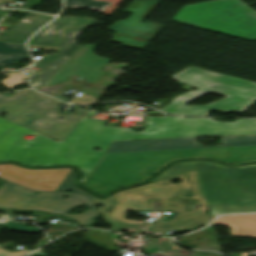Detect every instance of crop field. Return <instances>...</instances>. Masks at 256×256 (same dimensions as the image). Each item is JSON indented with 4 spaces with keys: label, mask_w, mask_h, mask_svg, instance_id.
Instances as JSON below:
<instances>
[{
    "label": "crop field",
    "mask_w": 256,
    "mask_h": 256,
    "mask_svg": "<svg viewBox=\"0 0 256 256\" xmlns=\"http://www.w3.org/2000/svg\"><path fill=\"white\" fill-rule=\"evenodd\" d=\"M157 114H160V113L156 111H152V112H147L144 115H157Z\"/></svg>",
    "instance_id": "crop-field-29"
},
{
    "label": "crop field",
    "mask_w": 256,
    "mask_h": 256,
    "mask_svg": "<svg viewBox=\"0 0 256 256\" xmlns=\"http://www.w3.org/2000/svg\"><path fill=\"white\" fill-rule=\"evenodd\" d=\"M8 78L1 81L3 85L7 86L9 89L12 88L14 85H18L20 83L26 82L22 81V78H25L26 76H23L19 73H12V74H7Z\"/></svg>",
    "instance_id": "crop-field-22"
},
{
    "label": "crop field",
    "mask_w": 256,
    "mask_h": 256,
    "mask_svg": "<svg viewBox=\"0 0 256 256\" xmlns=\"http://www.w3.org/2000/svg\"><path fill=\"white\" fill-rule=\"evenodd\" d=\"M221 138L223 146L215 147H196V138L113 142L83 186L104 195L143 181L175 159L210 157L226 163L256 160V136Z\"/></svg>",
    "instance_id": "crop-field-1"
},
{
    "label": "crop field",
    "mask_w": 256,
    "mask_h": 256,
    "mask_svg": "<svg viewBox=\"0 0 256 256\" xmlns=\"http://www.w3.org/2000/svg\"><path fill=\"white\" fill-rule=\"evenodd\" d=\"M70 171L68 168L31 170L4 164L0 165V178L35 191H56Z\"/></svg>",
    "instance_id": "crop-field-12"
},
{
    "label": "crop field",
    "mask_w": 256,
    "mask_h": 256,
    "mask_svg": "<svg viewBox=\"0 0 256 256\" xmlns=\"http://www.w3.org/2000/svg\"><path fill=\"white\" fill-rule=\"evenodd\" d=\"M53 97H55V98H57V99H60V100H62V101H64V102H69L70 100H68V99H66V98H64V97H62V96H60V95H52Z\"/></svg>",
    "instance_id": "crop-field-28"
},
{
    "label": "crop field",
    "mask_w": 256,
    "mask_h": 256,
    "mask_svg": "<svg viewBox=\"0 0 256 256\" xmlns=\"http://www.w3.org/2000/svg\"><path fill=\"white\" fill-rule=\"evenodd\" d=\"M1 1V0H0Z\"/></svg>",
    "instance_id": "crop-field-32"
},
{
    "label": "crop field",
    "mask_w": 256,
    "mask_h": 256,
    "mask_svg": "<svg viewBox=\"0 0 256 256\" xmlns=\"http://www.w3.org/2000/svg\"><path fill=\"white\" fill-rule=\"evenodd\" d=\"M10 11L9 9L0 8V19Z\"/></svg>",
    "instance_id": "crop-field-26"
},
{
    "label": "crop field",
    "mask_w": 256,
    "mask_h": 256,
    "mask_svg": "<svg viewBox=\"0 0 256 256\" xmlns=\"http://www.w3.org/2000/svg\"><path fill=\"white\" fill-rule=\"evenodd\" d=\"M75 175L76 173L74 172V170H72L57 191L68 192L69 190H72L71 192L84 194L91 199L93 196L76 188L72 184ZM176 179L181 180V183L172 184L171 181ZM150 184L183 185L182 187H180L169 206L183 207L186 199L204 200L205 198L196 170L174 177L158 180ZM141 198L142 196L127 195L122 207L145 210L149 203V200H141ZM113 200L114 199L102 200V204L110 205L113 203ZM197 203L198 201H188L185 209H192V206L197 205ZM163 205L164 203H156L155 210H162ZM212 218L213 216L198 212H195L193 216L178 213L174 214L169 221H164L161 226L178 229L181 230L180 232H187L209 223Z\"/></svg>",
    "instance_id": "crop-field-6"
},
{
    "label": "crop field",
    "mask_w": 256,
    "mask_h": 256,
    "mask_svg": "<svg viewBox=\"0 0 256 256\" xmlns=\"http://www.w3.org/2000/svg\"><path fill=\"white\" fill-rule=\"evenodd\" d=\"M53 17L30 12L17 24L6 31L0 40L10 43L24 44L32 34L45 23L49 22Z\"/></svg>",
    "instance_id": "crop-field-16"
},
{
    "label": "crop field",
    "mask_w": 256,
    "mask_h": 256,
    "mask_svg": "<svg viewBox=\"0 0 256 256\" xmlns=\"http://www.w3.org/2000/svg\"><path fill=\"white\" fill-rule=\"evenodd\" d=\"M170 78L197 87L198 90L177 95L165 108L160 109L168 113L183 116H207L210 110L242 113L256 101V83L253 82L195 67H189ZM210 91L226 97L205 106L184 105Z\"/></svg>",
    "instance_id": "crop-field-3"
},
{
    "label": "crop field",
    "mask_w": 256,
    "mask_h": 256,
    "mask_svg": "<svg viewBox=\"0 0 256 256\" xmlns=\"http://www.w3.org/2000/svg\"><path fill=\"white\" fill-rule=\"evenodd\" d=\"M173 21L256 40V12L240 0H215L186 5Z\"/></svg>",
    "instance_id": "crop-field-5"
},
{
    "label": "crop field",
    "mask_w": 256,
    "mask_h": 256,
    "mask_svg": "<svg viewBox=\"0 0 256 256\" xmlns=\"http://www.w3.org/2000/svg\"><path fill=\"white\" fill-rule=\"evenodd\" d=\"M224 224L232 227L231 236H245L256 238V214L229 215L219 217L211 225Z\"/></svg>",
    "instance_id": "crop-field-17"
},
{
    "label": "crop field",
    "mask_w": 256,
    "mask_h": 256,
    "mask_svg": "<svg viewBox=\"0 0 256 256\" xmlns=\"http://www.w3.org/2000/svg\"><path fill=\"white\" fill-rule=\"evenodd\" d=\"M5 228L18 231L40 232L38 228L24 227L21 223H9Z\"/></svg>",
    "instance_id": "crop-field-23"
},
{
    "label": "crop field",
    "mask_w": 256,
    "mask_h": 256,
    "mask_svg": "<svg viewBox=\"0 0 256 256\" xmlns=\"http://www.w3.org/2000/svg\"><path fill=\"white\" fill-rule=\"evenodd\" d=\"M194 169L198 171L211 215L256 212V164L226 167L207 161H185L172 165L153 181Z\"/></svg>",
    "instance_id": "crop-field-2"
},
{
    "label": "crop field",
    "mask_w": 256,
    "mask_h": 256,
    "mask_svg": "<svg viewBox=\"0 0 256 256\" xmlns=\"http://www.w3.org/2000/svg\"><path fill=\"white\" fill-rule=\"evenodd\" d=\"M88 237H90L104 245H107L108 249H116L109 232L100 231V230H92V232L90 233V235Z\"/></svg>",
    "instance_id": "crop-field-21"
},
{
    "label": "crop field",
    "mask_w": 256,
    "mask_h": 256,
    "mask_svg": "<svg viewBox=\"0 0 256 256\" xmlns=\"http://www.w3.org/2000/svg\"><path fill=\"white\" fill-rule=\"evenodd\" d=\"M36 133L0 118V161L12 160L24 165H43L61 142H53L43 135H37L31 141L23 138Z\"/></svg>",
    "instance_id": "crop-field-9"
},
{
    "label": "crop field",
    "mask_w": 256,
    "mask_h": 256,
    "mask_svg": "<svg viewBox=\"0 0 256 256\" xmlns=\"http://www.w3.org/2000/svg\"><path fill=\"white\" fill-rule=\"evenodd\" d=\"M58 104L61 102L32 89L18 91L9 97L0 94V113L7 112L6 119L61 140L88 110L76 107L74 113L80 114L79 117L65 113L66 117L59 121L65 115L57 117L61 112L56 107Z\"/></svg>",
    "instance_id": "crop-field-4"
},
{
    "label": "crop field",
    "mask_w": 256,
    "mask_h": 256,
    "mask_svg": "<svg viewBox=\"0 0 256 256\" xmlns=\"http://www.w3.org/2000/svg\"><path fill=\"white\" fill-rule=\"evenodd\" d=\"M95 99L91 96H81V97H75L71 103H95Z\"/></svg>",
    "instance_id": "crop-field-24"
},
{
    "label": "crop field",
    "mask_w": 256,
    "mask_h": 256,
    "mask_svg": "<svg viewBox=\"0 0 256 256\" xmlns=\"http://www.w3.org/2000/svg\"><path fill=\"white\" fill-rule=\"evenodd\" d=\"M32 192V190L6 181L0 189V208L36 209L50 213L64 214L84 225L93 223L92 218L99 215L93 201L84 195L60 192H39L38 195H34ZM63 195L68 197V199H62L61 197ZM79 199L82 201H79ZM83 203H86L91 208L82 214L71 216L66 214L74 205Z\"/></svg>",
    "instance_id": "crop-field-8"
},
{
    "label": "crop field",
    "mask_w": 256,
    "mask_h": 256,
    "mask_svg": "<svg viewBox=\"0 0 256 256\" xmlns=\"http://www.w3.org/2000/svg\"><path fill=\"white\" fill-rule=\"evenodd\" d=\"M93 114H94V112H89V113L86 114V115H91V116H93Z\"/></svg>",
    "instance_id": "crop-field-30"
},
{
    "label": "crop field",
    "mask_w": 256,
    "mask_h": 256,
    "mask_svg": "<svg viewBox=\"0 0 256 256\" xmlns=\"http://www.w3.org/2000/svg\"><path fill=\"white\" fill-rule=\"evenodd\" d=\"M256 134V119H238L231 123L212 118H187L183 137Z\"/></svg>",
    "instance_id": "crop-field-14"
},
{
    "label": "crop field",
    "mask_w": 256,
    "mask_h": 256,
    "mask_svg": "<svg viewBox=\"0 0 256 256\" xmlns=\"http://www.w3.org/2000/svg\"><path fill=\"white\" fill-rule=\"evenodd\" d=\"M160 1L134 0L126 9L132 15L123 21H117L109 30L115 32L112 42L122 43V46L144 49L149 42L164 27L145 19ZM146 21L145 24L141 23Z\"/></svg>",
    "instance_id": "crop-field-10"
},
{
    "label": "crop field",
    "mask_w": 256,
    "mask_h": 256,
    "mask_svg": "<svg viewBox=\"0 0 256 256\" xmlns=\"http://www.w3.org/2000/svg\"><path fill=\"white\" fill-rule=\"evenodd\" d=\"M117 236H115L114 238H116Z\"/></svg>",
    "instance_id": "crop-field-31"
},
{
    "label": "crop field",
    "mask_w": 256,
    "mask_h": 256,
    "mask_svg": "<svg viewBox=\"0 0 256 256\" xmlns=\"http://www.w3.org/2000/svg\"><path fill=\"white\" fill-rule=\"evenodd\" d=\"M32 49H52V50H56L58 51L60 48H48V47H35V46H31Z\"/></svg>",
    "instance_id": "crop-field-27"
},
{
    "label": "crop field",
    "mask_w": 256,
    "mask_h": 256,
    "mask_svg": "<svg viewBox=\"0 0 256 256\" xmlns=\"http://www.w3.org/2000/svg\"><path fill=\"white\" fill-rule=\"evenodd\" d=\"M96 46L82 45L45 86H53L55 83H60L70 75L79 76L83 81L94 82L103 74L99 69L109 61L91 53V50Z\"/></svg>",
    "instance_id": "crop-field-13"
},
{
    "label": "crop field",
    "mask_w": 256,
    "mask_h": 256,
    "mask_svg": "<svg viewBox=\"0 0 256 256\" xmlns=\"http://www.w3.org/2000/svg\"><path fill=\"white\" fill-rule=\"evenodd\" d=\"M106 121L84 117L44 165H74L83 171L82 184L120 128L104 127ZM95 148L101 150L96 152Z\"/></svg>",
    "instance_id": "crop-field-7"
},
{
    "label": "crop field",
    "mask_w": 256,
    "mask_h": 256,
    "mask_svg": "<svg viewBox=\"0 0 256 256\" xmlns=\"http://www.w3.org/2000/svg\"><path fill=\"white\" fill-rule=\"evenodd\" d=\"M24 253H27V251L9 252V251L0 249V256H20Z\"/></svg>",
    "instance_id": "crop-field-25"
},
{
    "label": "crop field",
    "mask_w": 256,
    "mask_h": 256,
    "mask_svg": "<svg viewBox=\"0 0 256 256\" xmlns=\"http://www.w3.org/2000/svg\"><path fill=\"white\" fill-rule=\"evenodd\" d=\"M186 118L147 117L146 129L134 132L121 128L113 140L152 139L182 137Z\"/></svg>",
    "instance_id": "crop-field-15"
},
{
    "label": "crop field",
    "mask_w": 256,
    "mask_h": 256,
    "mask_svg": "<svg viewBox=\"0 0 256 256\" xmlns=\"http://www.w3.org/2000/svg\"><path fill=\"white\" fill-rule=\"evenodd\" d=\"M28 58V50L24 45L9 44L0 41V63L19 64Z\"/></svg>",
    "instance_id": "crop-field-19"
},
{
    "label": "crop field",
    "mask_w": 256,
    "mask_h": 256,
    "mask_svg": "<svg viewBox=\"0 0 256 256\" xmlns=\"http://www.w3.org/2000/svg\"><path fill=\"white\" fill-rule=\"evenodd\" d=\"M95 22L92 18H57L41 29L28 45L62 47L60 54L71 57L80 47L74 43L77 35Z\"/></svg>",
    "instance_id": "crop-field-11"
},
{
    "label": "crop field",
    "mask_w": 256,
    "mask_h": 256,
    "mask_svg": "<svg viewBox=\"0 0 256 256\" xmlns=\"http://www.w3.org/2000/svg\"><path fill=\"white\" fill-rule=\"evenodd\" d=\"M69 57L59 54L42 58L33 68H39L33 72L30 81L32 87L44 86L52 76L69 60ZM53 67V69H50Z\"/></svg>",
    "instance_id": "crop-field-18"
},
{
    "label": "crop field",
    "mask_w": 256,
    "mask_h": 256,
    "mask_svg": "<svg viewBox=\"0 0 256 256\" xmlns=\"http://www.w3.org/2000/svg\"><path fill=\"white\" fill-rule=\"evenodd\" d=\"M109 3L105 1H94V0H64V8L77 9L87 8L89 10H102Z\"/></svg>",
    "instance_id": "crop-field-20"
}]
</instances>
